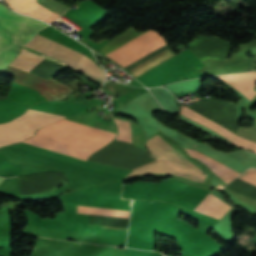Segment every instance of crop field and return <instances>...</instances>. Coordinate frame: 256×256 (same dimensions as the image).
<instances>
[{"label": "crop field", "mask_w": 256, "mask_h": 256, "mask_svg": "<svg viewBox=\"0 0 256 256\" xmlns=\"http://www.w3.org/2000/svg\"><path fill=\"white\" fill-rule=\"evenodd\" d=\"M3 179L2 178H0V183H1V181H2Z\"/></svg>", "instance_id": "obj_17"}, {"label": "crop field", "mask_w": 256, "mask_h": 256, "mask_svg": "<svg viewBox=\"0 0 256 256\" xmlns=\"http://www.w3.org/2000/svg\"><path fill=\"white\" fill-rule=\"evenodd\" d=\"M60 15H58L57 13H53L49 18H47L45 20V22H48V23H51L53 22L54 20H56Z\"/></svg>", "instance_id": "obj_15"}, {"label": "crop field", "mask_w": 256, "mask_h": 256, "mask_svg": "<svg viewBox=\"0 0 256 256\" xmlns=\"http://www.w3.org/2000/svg\"><path fill=\"white\" fill-rule=\"evenodd\" d=\"M238 178L256 185V168H250Z\"/></svg>", "instance_id": "obj_14"}, {"label": "crop field", "mask_w": 256, "mask_h": 256, "mask_svg": "<svg viewBox=\"0 0 256 256\" xmlns=\"http://www.w3.org/2000/svg\"><path fill=\"white\" fill-rule=\"evenodd\" d=\"M0 22L26 30L31 33L38 32L46 23L24 17L8 10L0 3ZM0 23V71L15 58L21 45L33 38L34 34Z\"/></svg>", "instance_id": "obj_3"}, {"label": "crop field", "mask_w": 256, "mask_h": 256, "mask_svg": "<svg viewBox=\"0 0 256 256\" xmlns=\"http://www.w3.org/2000/svg\"><path fill=\"white\" fill-rule=\"evenodd\" d=\"M199 99H197V100H195V101H193V103H195L196 101H198Z\"/></svg>", "instance_id": "obj_16"}, {"label": "crop field", "mask_w": 256, "mask_h": 256, "mask_svg": "<svg viewBox=\"0 0 256 256\" xmlns=\"http://www.w3.org/2000/svg\"><path fill=\"white\" fill-rule=\"evenodd\" d=\"M63 118L65 117L29 109L20 117L0 124V146L25 140L34 135L37 129Z\"/></svg>", "instance_id": "obj_6"}, {"label": "crop field", "mask_w": 256, "mask_h": 256, "mask_svg": "<svg viewBox=\"0 0 256 256\" xmlns=\"http://www.w3.org/2000/svg\"><path fill=\"white\" fill-rule=\"evenodd\" d=\"M15 11L44 21L53 12L40 6L36 0H4Z\"/></svg>", "instance_id": "obj_8"}, {"label": "crop field", "mask_w": 256, "mask_h": 256, "mask_svg": "<svg viewBox=\"0 0 256 256\" xmlns=\"http://www.w3.org/2000/svg\"><path fill=\"white\" fill-rule=\"evenodd\" d=\"M218 77L232 85L249 100L256 95V91L253 90L254 84L256 83V72L222 75Z\"/></svg>", "instance_id": "obj_7"}, {"label": "crop field", "mask_w": 256, "mask_h": 256, "mask_svg": "<svg viewBox=\"0 0 256 256\" xmlns=\"http://www.w3.org/2000/svg\"><path fill=\"white\" fill-rule=\"evenodd\" d=\"M232 144H235V145H238V146H241V147H244V148H247L249 150L256 152V143L248 141V140L241 138L237 135H235V137L232 141Z\"/></svg>", "instance_id": "obj_13"}, {"label": "crop field", "mask_w": 256, "mask_h": 256, "mask_svg": "<svg viewBox=\"0 0 256 256\" xmlns=\"http://www.w3.org/2000/svg\"><path fill=\"white\" fill-rule=\"evenodd\" d=\"M24 46L48 57H51L55 60H58L74 69L82 57L81 54L70 50L56 42L45 39L39 35H36L30 43ZM76 70L80 71L85 75L90 74L102 81H105L103 69L97 66L92 59L84 55L80 60L79 64L77 65ZM87 76L99 83H103L89 75Z\"/></svg>", "instance_id": "obj_5"}, {"label": "crop field", "mask_w": 256, "mask_h": 256, "mask_svg": "<svg viewBox=\"0 0 256 256\" xmlns=\"http://www.w3.org/2000/svg\"><path fill=\"white\" fill-rule=\"evenodd\" d=\"M231 208L209 193L195 210L220 219Z\"/></svg>", "instance_id": "obj_9"}, {"label": "crop field", "mask_w": 256, "mask_h": 256, "mask_svg": "<svg viewBox=\"0 0 256 256\" xmlns=\"http://www.w3.org/2000/svg\"><path fill=\"white\" fill-rule=\"evenodd\" d=\"M114 121H115V123L117 125V129H118V135H117L115 141H120V142L131 144L130 138H131L132 130H131L130 123H128L126 121L116 120V119H114Z\"/></svg>", "instance_id": "obj_12"}, {"label": "crop field", "mask_w": 256, "mask_h": 256, "mask_svg": "<svg viewBox=\"0 0 256 256\" xmlns=\"http://www.w3.org/2000/svg\"><path fill=\"white\" fill-rule=\"evenodd\" d=\"M182 107H184V106H182Z\"/></svg>", "instance_id": "obj_18"}, {"label": "crop field", "mask_w": 256, "mask_h": 256, "mask_svg": "<svg viewBox=\"0 0 256 256\" xmlns=\"http://www.w3.org/2000/svg\"><path fill=\"white\" fill-rule=\"evenodd\" d=\"M188 152L212 169L226 184L239 175V173L205 157L197 151Z\"/></svg>", "instance_id": "obj_10"}, {"label": "crop field", "mask_w": 256, "mask_h": 256, "mask_svg": "<svg viewBox=\"0 0 256 256\" xmlns=\"http://www.w3.org/2000/svg\"><path fill=\"white\" fill-rule=\"evenodd\" d=\"M145 32L147 31L136 32L133 27H130L124 32H122L121 34H119L118 36H116L115 38H113L112 40H110L99 50L107 54L115 50L116 48L124 45L125 43L133 40L134 38L142 35ZM157 35L159 34L151 30L107 55H109L114 59H117L120 56L124 55L125 53L129 52L130 50L134 49L135 47L139 46L140 44L144 43L145 41ZM165 44L166 43L164 42L162 36L160 35L140 45L139 47L135 48L134 50L130 51L129 53L125 54L124 56L120 57L115 61L119 62L123 66H127L135 62L136 60L146 56L147 54L155 51L156 49L164 46ZM174 55L176 54L173 51H171V49L169 48L163 51L162 53L156 55L155 57L149 59L148 61L144 62L143 64L137 66L136 68L130 70L132 72L130 73V75L136 78L141 74L147 72L148 70L152 69L153 67L159 65L160 63L164 62L165 60L171 58Z\"/></svg>", "instance_id": "obj_2"}, {"label": "crop field", "mask_w": 256, "mask_h": 256, "mask_svg": "<svg viewBox=\"0 0 256 256\" xmlns=\"http://www.w3.org/2000/svg\"><path fill=\"white\" fill-rule=\"evenodd\" d=\"M41 59L42 57L23 49L22 53H20L11 65L30 72ZM11 65L2 74L14 77L13 81L16 83L35 89L47 100L61 101L62 98L74 91L65 84L52 78L45 81Z\"/></svg>", "instance_id": "obj_4"}, {"label": "crop field", "mask_w": 256, "mask_h": 256, "mask_svg": "<svg viewBox=\"0 0 256 256\" xmlns=\"http://www.w3.org/2000/svg\"><path fill=\"white\" fill-rule=\"evenodd\" d=\"M115 135L63 119L40 129L34 137L24 142L86 160L94 151L108 144Z\"/></svg>", "instance_id": "obj_1"}, {"label": "crop field", "mask_w": 256, "mask_h": 256, "mask_svg": "<svg viewBox=\"0 0 256 256\" xmlns=\"http://www.w3.org/2000/svg\"><path fill=\"white\" fill-rule=\"evenodd\" d=\"M180 113L183 114L184 116L210 128V129H212L213 131L217 132L218 134L222 135L223 137H225L231 141L234 137V134H232L231 132L225 130L218 124L208 120L207 118L201 116L200 114L192 111L191 109H189L187 107L182 108Z\"/></svg>", "instance_id": "obj_11"}]
</instances>
